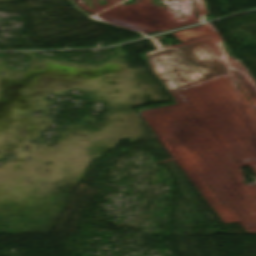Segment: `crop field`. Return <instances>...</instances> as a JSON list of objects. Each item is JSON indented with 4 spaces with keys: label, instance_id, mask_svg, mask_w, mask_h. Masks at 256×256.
Listing matches in <instances>:
<instances>
[{
    "label": "crop field",
    "instance_id": "1",
    "mask_svg": "<svg viewBox=\"0 0 256 256\" xmlns=\"http://www.w3.org/2000/svg\"><path fill=\"white\" fill-rule=\"evenodd\" d=\"M152 70L170 89L226 74L203 42L149 55Z\"/></svg>",
    "mask_w": 256,
    "mask_h": 256
}]
</instances>
